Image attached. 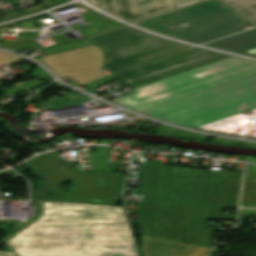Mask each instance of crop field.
Segmentation results:
<instances>
[{"label": "crop field", "instance_id": "8a807250", "mask_svg": "<svg viewBox=\"0 0 256 256\" xmlns=\"http://www.w3.org/2000/svg\"><path fill=\"white\" fill-rule=\"evenodd\" d=\"M4 244L19 256H139L120 206L45 202L44 215Z\"/></svg>", "mask_w": 256, "mask_h": 256}, {"label": "crop field", "instance_id": "ac0d7876", "mask_svg": "<svg viewBox=\"0 0 256 256\" xmlns=\"http://www.w3.org/2000/svg\"><path fill=\"white\" fill-rule=\"evenodd\" d=\"M242 174L143 164L138 193L150 202L237 208Z\"/></svg>", "mask_w": 256, "mask_h": 256}, {"label": "crop field", "instance_id": "34b2d1b8", "mask_svg": "<svg viewBox=\"0 0 256 256\" xmlns=\"http://www.w3.org/2000/svg\"><path fill=\"white\" fill-rule=\"evenodd\" d=\"M256 74V62L234 56L159 80L112 100L140 112Z\"/></svg>", "mask_w": 256, "mask_h": 256}, {"label": "crop field", "instance_id": "412701ff", "mask_svg": "<svg viewBox=\"0 0 256 256\" xmlns=\"http://www.w3.org/2000/svg\"><path fill=\"white\" fill-rule=\"evenodd\" d=\"M256 107V75L143 112L196 128Z\"/></svg>", "mask_w": 256, "mask_h": 256}, {"label": "crop field", "instance_id": "f4fd0767", "mask_svg": "<svg viewBox=\"0 0 256 256\" xmlns=\"http://www.w3.org/2000/svg\"><path fill=\"white\" fill-rule=\"evenodd\" d=\"M37 175L46 181L32 193L37 200L109 204L116 205L124 174L86 171H73L72 166L59 163L49 154L40 155L27 162ZM39 164L38 169L33 165ZM63 181L73 183L69 193L58 187ZM45 192H54L56 197L50 199ZM71 195L70 198L67 196Z\"/></svg>", "mask_w": 256, "mask_h": 256}, {"label": "crop field", "instance_id": "dd49c442", "mask_svg": "<svg viewBox=\"0 0 256 256\" xmlns=\"http://www.w3.org/2000/svg\"><path fill=\"white\" fill-rule=\"evenodd\" d=\"M136 25L200 44L243 31L250 22L220 1L207 0Z\"/></svg>", "mask_w": 256, "mask_h": 256}, {"label": "crop field", "instance_id": "e52e79f7", "mask_svg": "<svg viewBox=\"0 0 256 256\" xmlns=\"http://www.w3.org/2000/svg\"><path fill=\"white\" fill-rule=\"evenodd\" d=\"M137 205L141 235L160 238L162 230L160 239L210 248L212 232H206L205 218L236 220V215L221 214L222 208L143 202H137Z\"/></svg>", "mask_w": 256, "mask_h": 256}, {"label": "crop field", "instance_id": "d8731c3e", "mask_svg": "<svg viewBox=\"0 0 256 256\" xmlns=\"http://www.w3.org/2000/svg\"><path fill=\"white\" fill-rule=\"evenodd\" d=\"M105 51L110 72L191 46L151 36L127 26L88 38Z\"/></svg>", "mask_w": 256, "mask_h": 256}, {"label": "crop field", "instance_id": "5a996713", "mask_svg": "<svg viewBox=\"0 0 256 256\" xmlns=\"http://www.w3.org/2000/svg\"><path fill=\"white\" fill-rule=\"evenodd\" d=\"M229 55L194 48L114 74L132 88L159 78L183 72Z\"/></svg>", "mask_w": 256, "mask_h": 256}, {"label": "crop field", "instance_id": "3316defc", "mask_svg": "<svg viewBox=\"0 0 256 256\" xmlns=\"http://www.w3.org/2000/svg\"><path fill=\"white\" fill-rule=\"evenodd\" d=\"M59 77H70L83 84L104 75L103 50L92 45L41 58Z\"/></svg>", "mask_w": 256, "mask_h": 256}, {"label": "crop field", "instance_id": "28ad6ade", "mask_svg": "<svg viewBox=\"0 0 256 256\" xmlns=\"http://www.w3.org/2000/svg\"><path fill=\"white\" fill-rule=\"evenodd\" d=\"M90 3L134 22L198 0H88Z\"/></svg>", "mask_w": 256, "mask_h": 256}, {"label": "crop field", "instance_id": "d1516ede", "mask_svg": "<svg viewBox=\"0 0 256 256\" xmlns=\"http://www.w3.org/2000/svg\"><path fill=\"white\" fill-rule=\"evenodd\" d=\"M142 237L145 256H208L210 248Z\"/></svg>", "mask_w": 256, "mask_h": 256}, {"label": "crop field", "instance_id": "22f410ed", "mask_svg": "<svg viewBox=\"0 0 256 256\" xmlns=\"http://www.w3.org/2000/svg\"><path fill=\"white\" fill-rule=\"evenodd\" d=\"M205 46L216 47L237 53L256 48V29L210 44H205Z\"/></svg>", "mask_w": 256, "mask_h": 256}, {"label": "crop field", "instance_id": "cbeb9de0", "mask_svg": "<svg viewBox=\"0 0 256 256\" xmlns=\"http://www.w3.org/2000/svg\"><path fill=\"white\" fill-rule=\"evenodd\" d=\"M242 207H256V166L246 165Z\"/></svg>", "mask_w": 256, "mask_h": 256}, {"label": "crop field", "instance_id": "5142ce71", "mask_svg": "<svg viewBox=\"0 0 256 256\" xmlns=\"http://www.w3.org/2000/svg\"><path fill=\"white\" fill-rule=\"evenodd\" d=\"M245 15L256 27V0H220Z\"/></svg>", "mask_w": 256, "mask_h": 256}, {"label": "crop field", "instance_id": "d9b57169", "mask_svg": "<svg viewBox=\"0 0 256 256\" xmlns=\"http://www.w3.org/2000/svg\"><path fill=\"white\" fill-rule=\"evenodd\" d=\"M156 132L157 133H163V134H169V135L182 136L184 138L201 140V141H204L207 137L206 135L191 133V132L171 128V127H168V126H165V125H162V124H160V126L158 127Z\"/></svg>", "mask_w": 256, "mask_h": 256}, {"label": "crop field", "instance_id": "733c2abd", "mask_svg": "<svg viewBox=\"0 0 256 256\" xmlns=\"http://www.w3.org/2000/svg\"><path fill=\"white\" fill-rule=\"evenodd\" d=\"M87 44H91V43L88 40L83 39V40H78V41H74V42L60 44V45L45 49L43 51L47 54L48 53H56V52L72 49V48L87 45Z\"/></svg>", "mask_w": 256, "mask_h": 256}, {"label": "crop field", "instance_id": "4a817a6b", "mask_svg": "<svg viewBox=\"0 0 256 256\" xmlns=\"http://www.w3.org/2000/svg\"><path fill=\"white\" fill-rule=\"evenodd\" d=\"M114 78H116V77L111 74V75H109V76H107V77H104V78H102V79H99V80L90 82V83H88V84H85V86H87L88 88H86V89H84V90L87 91V92H89V91H91V90L97 88L98 86H100V85H102V84H104V83H106V82H108V81L114 79Z\"/></svg>", "mask_w": 256, "mask_h": 256}, {"label": "crop field", "instance_id": "bc2a9ffb", "mask_svg": "<svg viewBox=\"0 0 256 256\" xmlns=\"http://www.w3.org/2000/svg\"><path fill=\"white\" fill-rule=\"evenodd\" d=\"M213 142L223 143V144H231V145H238L239 143H243V145L256 146V143H249V142H243V141H237V140H231V139H225V138H219V137H215Z\"/></svg>", "mask_w": 256, "mask_h": 256}, {"label": "crop field", "instance_id": "214f88e0", "mask_svg": "<svg viewBox=\"0 0 256 256\" xmlns=\"http://www.w3.org/2000/svg\"><path fill=\"white\" fill-rule=\"evenodd\" d=\"M20 57L0 51V64L17 62Z\"/></svg>", "mask_w": 256, "mask_h": 256}, {"label": "crop field", "instance_id": "92a150f3", "mask_svg": "<svg viewBox=\"0 0 256 256\" xmlns=\"http://www.w3.org/2000/svg\"><path fill=\"white\" fill-rule=\"evenodd\" d=\"M29 75L34 77L53 80V78L48 73H46L44 70H42L38 66H36Z\"/></svg>", "mask_w": 256, "mask_h": 256}, {"label": "crop field", "instance_id": "dafd665d", "mask_svg": "<svg viewBox=\"0 0 256 256\" xmlns=\"http://www.w3.org/2000/svg\"><path fill=\"white\" fill-rule=\"evenodd\" d=\"M0 256H17L14 252H0Z\"/></svg>", "mask_w": 256, "mask_h": 256}, {"label": "crop field", "instance_id": "00972430", "mask_svg": "<svg viewBox=\"0 0 256 256\" xmlns=\"http://www.w3.org/2000/svg\"><path fill=\"white\" fill-rule=\"evenodd\" d=\"M242 54H246V55H250V56L256 57V49H253V50L244 52V53H242Z\"/></svg>", "mask_w": 256, "mask_h": 256}]
</instances>
